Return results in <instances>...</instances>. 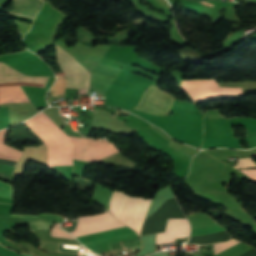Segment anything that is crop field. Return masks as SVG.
<instances>
[{"instance_id": "5142ce71", "label": "crop field", "mask_w": 256, "mask_h": 256, "mask_svg": "<svg viewBox=\"0 0 256 256\" xmlns=\"http://www.w3.org/2000/svg\"><path fill=\"white\" fill-rule=\"evenodd\" d=\"M256 167L253 163L252 158H244V159H238V164L235 168L241 169V168H251Z\"/></svg>"}, {"instance_id": "ac0d7876", "label": "crop field", "mask_w": 256, "mask_h": 256, "mask_svg": "<svg viewBox=\"0 0 256 256\" xmlns=\"http://www.w3.org/2000/svg\"><path fill=\"white\" fill-rule=\"evenodd\" d=\"M126 194L122 191H114L110 200L109 211L118 219L120 209L126 199ZM151 200L128 196L119 216V221L140 234L144 217L147 213Z\"/></svg>"}, {"instance_id": "dd49c442", "label": "crop field", "mask_w": 256, "mask_h": 256, "mask_svg": "<svg viewBox=\"0 0 256 256\" xmlns=\"http://www.w3.org/2000/svg\"><path fill=\"white\" fill-rule=\"evenodd\" d=\"M1 71L4 86L9 85H25L33 87H44L49 77H30L10 68L5 63H1ZM0 71V86H3Z\"/></svg>"}, {"instance_id": "d8731c3e", "label": "crop field", "mask_w": 256, "mask_h": 256, "mask_svg": "<svg viewBox=\"0 0 256 256\" xmlns=\"http://www.w3.org/2000/svg\"><path fill=\"white\" fill-rule=\"evenodd\" d=\"M22 124H24L31 131H33L39 137V139L43 142L44 145L38 146V147H25L24 153H23L22 157L19 159V161L16 165V168H15V171L13 173V174L19 175V176H21V174H22L23 166L27 159L33 160V161H36V162H39V163H42V164L48 166L46 144L44 143V141L41 139V137L38 135V133L36 131H34L32 128H30L25 123H22Z\"/></svg>"}, {"instance_id": "34b2d1b8", "label": "crop field", "mask_w": 256, "mask_h": 256, "mask_svg": "<svg viewBox=\"0 0 256 256\" xmlns=\"http://www.w3.org/2000/svg\"><path fill=\"white\" fill-rule=\"evenodd\" d=\"M71 138V137H70ZM74 144V158L89 162H95L118 150L107 141H88L71 138Z\"/></svg>"}, {"instance_id": "d9b57169", "label": "crop field", "mask_w": 256, "mask_h": 256, "mask_svg": "<svg viewBox=\"0 0 256 256\" xmlns=\"http://www.w3.org/2000/svg\"><path fill=\"white\" fill-rule=\"evenodd\" d=\"M59 225L60 223H55L53 228H52V232L51 235L52 236H62V237H67V238H71L74 239L73 237L69 236L66 232H63L59 229Z\"/></svg>"}, {"instance_id": "8a807250", "label": "crop field", "mask_w": 256, "mask_h": 256, "mask_svg": "<svg viewBox=\"0 0 256 256\" xmlns=\"http://www.w3.org/2000/svg\"><path fill=\"white\" fill-rule=\"evenodd\" d=\"M115 218H113L109 212L100 214L97 216H84L80 217L76 229L71 232L74 236L101 231L117 226H121ZM124 227V226H121ZM120 228V227H117ZM115 229V228H113ZM110 230V229H109ZM106 231V230H105ZM135 232L119 235L111 238H106L98 241L85 243L84 245L92 251L100 254V251L111 249L110 243L118 242L126 239L137 238Z\"/></svg>"}, {"instance_id": "733c2abd", "label": "crop field", "mask_w": 256, "mask_h": 256, "mask_svg": "<svg viewBox=\"0 0 256 256\" xmlns=\"http://www.w3.org/2000/svg\"><path fill=\"white\" fill-rule=\"evenodd\" d=\"M252 156H256V154H252Z\"/></svg>"}, {"instance_id": "e52e79f7", "label": "crop field", "mask_w": 256, "mask_h": 256, "mask_svg": "<svg viewBox=\"0 0 256 256\" xmlns=\"http://www.w3.org/2000/svg\"><path fill=\"white\" fill-rule=\"evenodd\" d=\"M189 224L187 219H168L165 233L157 234L156 244H166L178 237H188Z\"/></svg>"}, {"instance_id": "cbeb9de0", "label": "crop field", "mask_w": 256, "mask_h": 256, "mask_svg": "<svg viewBox=\"0 0 256 256\" xmlns=\"http://www.w3.org/2000/svg\"><path fill=\"white\" fill-rule=\"evenodd\" d=\"M237 243H239V241L232 239L226 243L214 244V253L217 254Z\"/></svg>"}, {"instance_id": "28ad6ade", "label": "crop field", "mask_w": 256, "mask_h": 256, "mask_svg": "<svg viewBox=\"0 0 256 256\" xmlns=\"http://www.w3.org/2000/svg\"><path fill=\"white\" fill-rule=\"evenodd\" d=\"M29 102L21 86L0 87V103Z\"/></svg>"}, {"instance_id": "412701ff", "label": "crop field", "mask_w": 256, "mask_h": 256, "mask_svg": "<svg viewBox=\"0 0 256 256\" xmlns=\"http://www.w3.org/2000/svg\"><path fill=\"white\" fill-rule=\"evenodd\" d=\"M58 64L62 74L67 78V86H85L88 85V72L79 64L70 53L57 46Z\"/></svg>"}, {"instance_id": "3316defc", "label": "crop field", "mask_w": 256, "mask_h": 256, "mask_svg": "<svg viewBox=\"0 0 256 256\" xmlns=\"http://www.w3.org/2000/svg\"><path fill=\"white\" fill-rule=\"evenodd\" d=\"M42 3L43 0H12L9 12L34 18Z\"/></svg>"}, {"instance_id": "5a996713", "label": "crop field", "mask_w": 256, "mask_h": 256, "mask_svg": "<svg viewBox=\"0 0 256 256\" xmlns=\"http://www.w3.org/2000/svg\"><path fill=\"white\" fill-rule=\"evenodd\" d=\"M10 216L26 220L29 228H50L54 222L63 221V218L56 214H39L37 216L10 214Z\"/></svg>"}, {"instance_id": "f4fd0767", "label": "crop field", "mask_w": 256, "mask_h": 256, "mask_svg": "<svg viewBox=\"0 0 256 256\" xmlns=\"http://www.w3.org/2000/svg\"><path fill=\"white\" fill-rule=\"evenodd\" d=\"M173 99L174 97L172 95L166 94L155 87H151L145 93L136 109L154 114L168 115Z\"/></svg>"}, {"instance_id": "4a817a6b", "label": "crop field", "mask_w": 256, "mask_h": 256, "mask_svg": "<svg viewBox=\"0 0 256 256\" xmlns=\"http://www.w3.org/2000/svg\"><path fill=\"white\" fill-rule=\"evenodd\" d=\"M45 2H47V3H48V1H46V0H45ZM48 4H49V3H48Z\"/></svg>"}, {"instance_id": "22f410ed", "label": "crop field", "mask_w": 256, "mask_h": 256, "mask_svg": "<svg viewBox=\"0 0 256 256\" xmlns=\"http://www.w3.org/2000/svg\"><path fill=\"white\" fill-rule=\"evenodd\" d=\"M14 190L10 184L0 181V196L13 199Z\"/></svg>"}, {"instance_id": "d1516ede", "label": "crop field", "mask_w": 256, "mask_h": 256, "mask_svg": "<svg viewBox=\"0 0 256 256\" xmlns=\"http://www.w3.org/2000/svg\"><path fill=\"white\" fill-rule=\"evenodd\" d=\"M9 132L8 129L0 130V158L12 159L18 161L22 151L5 145V138Z\"/></svg>"}]
</instances>
